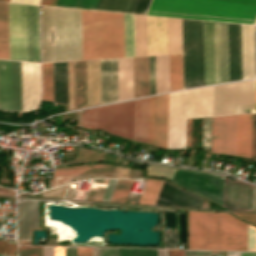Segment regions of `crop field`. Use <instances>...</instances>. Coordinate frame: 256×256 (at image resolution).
Here are the masks:
<instances>
[{
  "label": "crop field",
  "mask_w": 256,
  "mask_h": 256,
  "mask_svg": "<svg viewBox=\"0 0 256 256\" xmlns=\"http://www.w3.org/2000/svg\"><path fill=\"white\" fill-rule=\"evenodd\" d=\"M83 60L125 57L124 14L82 10ZM126 57L182 53L181 19L125 14Z\"/></svg>",
  "instance_id": "crop-field-1"
},
{
  "label": "crop field",
  "mask_w": 256,
  "mask_h": 256,
  "mask_svg": "<svg viewBox=\"0 0 256 256\" xmlns=\"http://www.w3.org/2000/svg\"><path fill=\"white\" fill-rule=\"evenodd\" d=\"M155 96L82 111L81 124L153 144Z\"/></svg>",
  "instance_id": "crop-field-2"
},
{
  "label": "crop field",
  "mask_w": 256,
  "mask_h": 256,
  "mask_svg": "<svg viewBox=\"0 0 256 256\" xmlns=\"http://www.w3.org/2000/svg\"><path fill=\"white\" fill-rule=\"evenodd\" d=\"M42 62L82 60L81 10L41 7Z\"/></svg>",
  "instance_id": "crop-field-3"
},
{
  "label": "crop field",
  "mask_w": 256,
  "mask_h": 256,
  "mask_svg": "<svg viewBox=\"0 0 256 256\" xmlns=\"http://www.w3.org/2000/svg\"><path fill=\"white\" fill-rule=\"evenodd\" d=\"M145 14L254 24L256 0H150Z\"/></svg>",
  "instance_id": "crop-field-4"
},
{
  "label": "crop field",
  "mask_w": 256,
  "mask_h": 256,
  "mask_svg": "<svg viewBox=\"0 0 256 256\" xmlns=\"http://www.w3.org/2000/svg\"><path fill=\"white\" fill-rule=\"evenodd\" d=\"M188 249L247 250V224L229 213L188 212Z\"/></svg>",
  "instance_id": "crop-field-5"
},
{
  "label": "crop field",
  "mask_w": 256,
  "mask_h": 256,
  "mask_svg": "<svg viewBox=\"0 0 256 256\" xmlns=\"http://www.w3.org/2000/svg\"><path fill=\"white\" fill-rule=\"evenodd\" d=\"M10 59L39 62L38 6L9 4Z\"/></svg>",
  "instance_id": "crop-field-6"
},
{
  "label": "crop field",
  "mask_w": 256,
  "mask_h": 256,
  "mask_svg": "<svg viewBox=\"0 0 256 256\" xmlns=\"http://www.w3.org/2000/svg\"><path fill=\"white\" fill-rule=\"evenodd\" d=\"M205 85L228 81L227 23L203 21Z\"/></svg>",
  "instance_id": "crop-field-7"
},
{
  "label": "crop field",
  "mask_w": 256,
  "mask_h": 256,
  "mask_svg": "<svg viewBox=\"0 0 256 256\" xmlns=\"http://www.w3.org/2000/svg\"><path fill=\"white\" fill-rule=\"evenodd\" d=\"M255 80L214 86L213 116L254 112Z\"/></svg>",
  "instance_id": "crop-field-8"
},
{
  "label": "crop field",
  "mask_w": 256,
  "mask_h": 256,
  "mask_svg": "<svg viewBox=\"0 0 256 256\" xmlns=\"http://www.w3.org/2000/svg\"><path fill=\"white\" fill-rule=\"evenodd\" d=\"M171 181L223 206L224 177L222 176L177 169Z\"/></svg>",
  "instance_id": "crop-field-9"
},
{
  "label": "crop field",
  "mask_w": 256,
  "mask_h": 256,
  "mask_svg": "<svg viewBox=\"0 0 256 256\" xmlns=\"http://www.w3.org/2000/svg\"><path fill=\"white\" fill-rule=\"evenodd\" d=\"M0 109L22 111L21 62L0 60Z\"/></svg>",
  "instance_id": "crop-field-10"
},
{
  "label": "crop field",
  "mask_w": 256,
  "mask_h": 256,
  "mask_svg": "<svg viewBox=\"0 0 256 256\" xmlns=\"http://www.w3.org/2000/svg\"><path fill=\"white\" fill-rule=\"evenodd\" d=\"M187 90L170 94L168 148H185Z\"/></svg>",
  "instance_id": "crop-field-11"
},
{
  "label": "crop field",
  "mask_w": 256,
  "mask_h": 256,
  "mask_svg": "<svg viewBox=\"0 0 256 256\" xmlns=\"http://www.w3.org/2000/svg\"><path fill=\"white\" fill-rule=\"evenodd\" d=\"M236 115L213 117L212 152L235 155Z\"/></svg>",
  "instance_id": "crop-field-12"
},
{
  "label": "crop field",
  "mask_w": 256,
  "mask_h": 256,
  "mask_svg": "<svg viewBox=\"0 0 256 256\" xmlns=\"http://www.w3.org/2000/svg\"><path fill=\"white\" fill-rule=\"evenodd\" d=\"M224 208L252 211V186L225 177Z\"/></svg>",
  "instance_id": "crop-field-13"
},
{
  "label": "crop field",
  "mask_w": 256,
  "mask_h": 256,
  "mask_svg": "<svg viewBox=\"0 0 256 256\" xmlns=\"http://www.w3.org/2000/svg\"><path fill=\"white\" fill-rule=\"evenodd\" d=\"M23 111L35 110L40 101L39 64L22 62Z\"/></svg>",
  "instance_id": "crop-field-14"
},
{
  "label": "crop field",
  "mask_w": 256,
  "mask_h": 256,
  "mask_svg": "<svg viewBox=\"0 0 256 256\" xmlns=\"http://www.w3.org/2000/svg\"><path fill=\"white\" fill-rule=\"evenodd\" d=\"M242 79L255 78L254 26L241 24Z\"/></svg>",
  "instance_id": "crop-field-15"
},
{
  "label": "crop field",
  "mask_w": 256,
  "mask_h": 256,
  "mask_svg": "<svg viewBox=\"0 0 256 256\" xmlns=\"http://www.w3.org/2000/svg\"><path fill=\"white\" fill-rule=\"evenodd\" d=\"M212 87L188 90L187 118L211 116Z\"/></svg>",
  "instance_id": "crop-field-16"
},
{
  "label": "crop field",
  "mask_w": 256,
  "mask_h": 256,
  "mask_svg": "<svg viewBox=\"0 0 256 256\" xmlns=\"http://www.w3.org/2000/svg\"><path fill=\"white\" fill-rule=\"evenodd\" d=\"M169 94L156 96L154 144L167 148Z\"/></svg>",
  "instance_id": "crop-field-17"
},
{
  "label": "crop field",
  "mask_w": 256,
  "mask_h": 256,
  "mask_svg": "<svg viewBox=\"0 0 256 256\" xmlns=\"http://www.w3.org/2000/svg\"><path fill=\"white\" fill-rule=\"evenodd\" d=\"M20 240H30V228H38V201L19 203Z\"/></svg>",
  "instance_id": "crop-field-18"
},
{
  "label": "crop field",
  "mask_w": 256,
  "mask_h": 256,
  "mask_svg": "<svg viewBox=\"0 0 256 256\" xmlns=\"http://www.w3.org/2000/svg\"><path fill=\"white\" fill-rule=\"evenodd\" d=\"M252 114L237 115L236 155L250 158Z\"/></svg>",
  "instance_id": "crop-field-19"
},
{
  "label": "crop field",
  "mask_w": 256,
  "mask_h": 256,
  "mask_svg": "<svg viewBox=\"0 0 256 256\" xmlns=\"http://www.w3.org/2000/svg\"><path fill=\"white\" fill-rule=\"evenodd\" d=\"M133 98L132 58L118 59V101Z\"/></svg>",
  "instance_id": "crop-field-20"
},
{
  "label": "crop field",
  "mask_w": 256,
  "mask_h": 256,
  "mask_svg": "<svg viewBox=\"0 0 256 256\" xmlns=\"http://www.w3.org/2000/svg\"><path fill=\"white\" fill-rule=\"evenodd\" d=\"M54 102L68 104L67 62L53 63Z\"/></svg>",
  "instance_id": "crop-field-21"
},
{
  "label": "crop field",
  "mask_w": 256,
  "mask_h": 256,
  "mask_svg": "<svg viewBox=\"0 0 256 256\" xmlns=\"http://www.w3.org/2000/svg\"><path fill=\"white\" fill-rule=\"evenodd\" d=\"M134 98L142 96L141 82L149 81L148 57L133 58Z\"/></svg>",
  "instance_id": "crop-field-22"
},
{
  "label": "crop field",
  "mask_w": 256,
  "mask_h": 256,
  "mask_svg": "<svg viewBox=\"0 0 256 256\" xmlns=\"http://www.w3.org/2000/svg\"><path fill=\"white\" fill-rule=\"evenodd\" d=\"M115 166L110 164H91L54 168L53 176L114 171Z\"/></svg>",
  "instance_id": "crop-field-23"
},
{
  "label": "crop field",
  "mask_w": 256,
  "mask_h": 256,
  "mask_svg": "<svg viewBox=\"0 0 256 256\" xmlns=\"http://www.w3.org/2000/svg\"><path fill=\"white\" fill-rule=\"evenodd\" d=\"M0 58L9 59L8 4L0 3Z\"/></svg>",
  "instance_id": "crop-field-24"
},
{
  "label": "crop field",
  "mask_w": 256,
  "mask_h": 256,
  "mask_svg": "<svg viewBox=\"0 0 256 256\" xmlns=\"http://www.w3.org/2000/svg\"><path fill=\"white\" fill-rule=\"evenodd\" d=\"M168 91V55L156 56V94Z\"/></svg>",
  "instance_id": "crop-field-25"
},
{
  "label": "crop field",
  "mask_w": 256,
  "mask_h": 256,
  "mask_svg": "<svg viewBox=\"0 0 256 256\" xmlns=\"http://www.w3.org/2000/svg\"><path fill=\"white\" fill-rule=\"evenodd\" d=\"M170 91L182 89L181 55H169Z\"/></svg>",
  "instance_id": "crop-field-26"
},
{
  "label": "crop field",
  "mask_w": 256,
  "mask_h": 256,
  "mask_svg": "<svg viewBox=\"0 0 256 256\" xmlns=\"http://www.w3.org/2000/svg\"><path fill=\"white\" fill-rule=\"evenodd\" d=\"M136 0H99L96 10L131 13Z\"/></svg>",
  "instance_id": "crop-field-27"
},
{
  "label": "crop field",
  "mask_w": 256,
  "mask_h": 256,
  "mask_svg": "<svg viewBox=\"0 0 256 256\" xmlns=\"http://www.w3.org/2000/svg\"><path fill=\"white\" fill-rule=\"evenodd\" d=\"M164 181L148 179L138 204L154 205Z\"/></svg>",
  "instance_id": "crop-field-28"
},
{
  "label": "crop field",
  "mask_w": 256,
  "mask_h": 256,
  "mask_svg": "<svg viewBox=\"0 0 256 256\" xmlns=\"http://www.w3.org/2000/svg\"><path fill=\"white\" fill-rule=\"evenodd\" d=\"M43 98L53 101L52 63L42 64Z\"/></svg>",
  "instance_id": "crop-field-29"
},
{
  "label": "crop field",
  "mask_w": 256,
  "mask_h": 256,
  "mask_svg": "<svg viewBox=\"0 0 256 256\" xmlns=\"http://www.w3.org/2000/svg\"><path fill=\"white\" fill-rule=\"evenodd\" d=\"M98 0H57L55 6L95 10Z\"/></svg>",
  "instance_id": "crop-field-30"
},
{
  "label": "crop field",
  "mask_w": 256,
  "mask_h": 256,
  "mask_svg": "<svg viewBox=\"0 0 256 256\" xmlns=\"http://www.w3.org/2000/svg\"><path fill=\"white\" fill-rule=\"evenodd\" d=\"M177 189V187L165 181L155 205L171 206Z\"/></svg>",
  "instance_id": "crop-field-31"
},
{
  "label": "crop field",
  "mask_w": 256,
  "mask_h": 256,
  "mask_svg": "<svg viewBox=\"0 0 256 256\" xmlns=\"http://www.w3.org/2000/svg\"><path fill=\"white\" fill-rule=\"evenodd\" d=\"M134 180H119L110 202L124 203Z\"/></svg>",
  "instance_id": "crop-field-32"
},
{
  "label": "crop field",
  "mask_w": 256,
  "mask_h": 256,
  "mask_svg": "<svg viewBox=\"0 0 256 256\" xmlns=\"http://www.w3.org/2000/svg\"><path fill=\"white\" fill-rule=\"evenodd\" d=\"M187 192L178 189L173 204L198 206L202 198Z\"/></svg>",
  "instance_id": "crop-field-33"
},
{
  "label": "crop field",
  "mask_w": 256,
  "mask_h": 256,
  "mask_svg": "<svg viewBox=\"0 0 256 256\" xmlns=\"http://www.w3.org/2000/svg\"><path fill=\"white\" fill-rule=\"evenodd\" d=\"M119 256H157V250L119 249Z\"/></svg>",
  "instance_id": "crop-field-34"
},
{
  "label": "crop field",
  "mask_w": 256,
  "mask_h": 256,
  "mask_svg": "<svg viewBox=\"0 0 256 256\" xmlns=\"http://www.w3.org/2000/svg\"><path fill=\"white\" fill-rule=\"evenodd\" d=\"M18 256H42V247L18 246Z\"/></svg>",
  "instance_id": "crop-field-35"
},
{
  "label": "crop field",
  "mask_w": 256,
  "mask_h": 256,
  "mask_svg": "<svg viewBox=\"0 0 256 256\" xmlns=\"http://www.w3.org/2000/svg\"><path fill=\"white\" fill-rule=\"evenodd\" d=\"M164 248L178 249L177 233L164 232Z\"/></svg>",
  "instance_id": "crop-field-36"
},
{
  "label": "crop field",
  "mask_w": 256,
  "mask_h": 256,
  "mask_svg": "<svg viewBox=\"0 0 256 256\" xmlns=\"http://www.w3.org/2000/svg\"><path fill=\"white\" fill-rule=\"evenodd\" d=\"M117 181L118 180H111V179L109 180L108 185H107L106 190H105V193H104L103 198H102L101 201H105V202L110 201Z\"/></svg>",
  "instance_id": "crop-field-37"
},
{
  "label": "crop field",
  "mask_w": 256,
  "mask_h": 256,
  "mask_svg": "<svg viewBox=\"0 0 256 256\" xmlns=\"http://www.w3.org/2000/svg\"><path fill=\"white\" fill-rule=\"evenodd\" d=\"M251 158L256 159V114H253Z\"/></svg>",
  "instance_id": "crop-field-38"
},
{
  "label": "crop field",
  "mask_w": 256,
  "mask_h": 256,
  "mask_svg": "<svg viewBox=\"0 0 256 256\" xmlns=\"http://www.w3.org/2000/svg\"><path fill=\"white\" fill-rule=\"evenodd\" d=\"M149 0H137L132 13L144 14Z\"/></svg>",
  "instance_id": "crop-field-39"
},
{
  "label": "crop field",
  "mask_w": 256,
  "mask_h": 256,
  "mask_svg": "<svg viewBox=\"0 0 256 256\" xmlns=\"http://www.w3.org/2000/svg\"><path fill=\"white\" fill-rule=\"evenodd\" d=\"M248 250H256L255 230L250 227H248Z\"/></svg>",
  "instance_id": "crop-field-40"
},
{
  "label": "crop field",
  "mask_w": 256,
  "mask_h": 256,
  "mask_svg": "<svg viewBox=\"0 0 256 256\" xmlns=\"http://www.w3.org/2000/svg\"><path fill=\"white\" fill-rule=\"evenodd\" d=\"M158 256H167V250H158ZM168 256H184V250H168Z\"/></svg>",
  "instance_id": "crop-field-41"
},
{
  "label": "crop field",
  "mask_w": 256,
  "mask_h": 256,
  "mask_svg": "<svg viewBox=\"0 0 256 256\" xmlns=\"http://www.w3.org/2000/svg\"><path fill=\"white\" fill-rule=\"evenodd\" d=\"M233 214H235L240 219H242L244 221H247V222L256 226V215H253V214H239V213H233Z\"/></svg>",
  "instance_id": "crop-field-42"
},
{
  "label": "crop field",
  "mask_w": 256,
  "mask_h": 256,
  "mask_svg": "<svg viewBox=\"0 0 256 256\" xmlns=\"http://www.w3.org/2000/svg\"><path fill=\"white\" fill-rule=\"evenodd\" d=\"M99 256H118V249L99 248Z\"/></svg>",
  "instance_id": "crop-field-43"
},
{
  "label": "crop field",
  "mask_w": 256,
  "mask_h": 256,
  "mask_svg": "<svg viewBox=\"0 0 256 256\" xmlns=\"http://www.w3.org/2000/svg\"><path fill=\"white\" fill-rule=\"evenodd\" d=\"M185 256H210V251L185 250Z\"/></svg>",
  "instance_id": "crop-field-44"
},
{
  "label": "crop field",
  "mask_w": 256,
  "mask_h": 256,
  "mask_svg": "<svg viewBox=\"0 0 256 256\" xmlns=\"http://www.w3.org/2000/svg\"><path fill=\"white\" fill-rule=\"evenodd\" d=\"M77 256H92V248H77Z\"/></svg>",
  "instance_id": "crop-field-45"
},
{
  "label": "crop field",
  "mask_w": 256,
  "mask_h": 256,
  "mask_svg": "<svg viewBox=\"0 0 256 256\" xmlns=\"http://www.w3.org/2000/svg\"><path fill=\"white\" fill-rule=\"evenodd\" d=\"M43 256H54V247H43Z\"/></svg>",
  "instance_id": "crop-field-46"
},
{
  "label": "crop field",
  "mask_w": 256,
  "mask_h": 256,
  "mask_svg": "<svg viewBox=\"0 0 256 256\" xmlns=\"http://www.w3.org/2000/svg\"><path fill=\"white\" fill-rule=\"evenodd\" d=\"M65 256H76V248L65 247Z\"/></svg>",
  "instance_id": "crop-field-47"
},
{
  "label": "crop field",
  "mask_w": 256,
  "mask_h": 256,
  "mask_svg": "<svg viewBox=\"0 0 256 256\" xmlns=\"http://www.w3.org/2000/svg\"><path fill=\"white\" fill-rule=\"evenodd\" d=\"M10 2L38 4L39 0H11Z\"/></svg>",
  "instance_id": "crop-field-48"
},
{
  "label": "crop field",
  "mask_w": 256,
  "mask_h": 256,
  "mask_svg": "<svg viewBox=\"0 0 256 256\" xmlns=\"http://www.w3.org/2000/svg\"><path fill=\"white\" fill-rule=\"evenodd\" d=\"M55 256H64V247H55Z\"/></svg>",
  "instance_id": "crop-field-49"
},
{
  "label": "crop field",
  "mask_w": 256,
  "mask_h": 256,
  "mask_svg": "<svg viewBox=\"0 0 256 256\" xmlns=\"http://www.w3.org/2000/svg\"><path fill=\"white\" fill-rule=\"evenodd\" d=\"M56 0H42L41 5H46V6H54Z\"/></svg>",
  "instance_id": "crop-field-50"
},
{
  "label": "crop field",
  "mask_w": 256,
  "mask_h": 256,
  "mask_svg": "<svg viewBox=\"0 0 256 256\" xmlns=\"http://www.w3.org/2000/svg\"><path fill=\"white\" fill-rule=\"evenodd\" d=\"M241 256H256V252H241Z\"/></svg>",
  "instance_id": "crop-field-51"
},
{
  "label": "crop field",
  "mask_w": 256,
  "mask_h": 256,
  "mask_svg": "<svg viewBox=\"0 0 256 256\" xmlns=\"http://www.w3.org/2000/svg\"><path fill=\"white\" fill-rule=\"evenodd\" d=\"M226 256H240V252H226Z\"/></svg>",
  "instance_id": "crop-field-52"
},
{
  "label": "crop field",
  "mask_w": 256,
  "mask_h": 256,
  "mask_svg": "<svg viewBox=\"0 0 256 256\" xmlns=\"http://www.w3.org/2000/svg\"><path fill=\"white\" fill-rule=\"evenodd\" d=\"M93 256H98V248H93Z\"/></svg>",
  "instance_id": "crop-field-53"
},
{
  "label": "crop field",
  "mask_w": 256,
  "mask_h": 256,
  "mask_svg": "<svg viewBox=\"0 0 256 256\" xmlns=\"http://www.w3.org/2000/svg\"><path fill=\"white\" fill-rule=\"evenodd\" d=\"M94 143H95V132H93V135H92V141H91V144H93V145H94Z\"/></svg>",
  "instance_id": "crop-field-54"
},
{
  "label": "crop field",
  "mask_w": 256,
  "mask_h": 256,
  "mask_svg": "<svg viewBox=\"0 0 256 256\" xmlns=\"http://www.w3.org/2000/svg\"><path fill=\"white\" fill-rule=\"evenodd\" d=\"M209 158H210V155L208 156V160H207V163H206V167H205V168H208V165H209Z\"/></svg>",
  "instance_id": "crop-field-55"
},
{
  "label": "crop field",
  "mask_w": 256,
  "mask_h": 256,
  "mask_svg": "<svg viewBox=\"0 0 256 256\" xmlns=\"http://www.w3.org/2000/svg\"><path fill=\"white\" fill-rule=\"evenodd\" d=\"M0 1L9 2L10 0H0Z\"/></svg>",
  "instance_id": "crop-field-56"
},
{
  "label": "crop field",
  "mask_w": 256,
  "mask_h": 256,
  "mask_svg": "<svg viewBox=\"0 0 256 256\" xmlns=\"http://www.w3.org/2000/svg\"><path fill=\"white\" fill-rule=\"evenodd\" d=\"M255 112H256V104H255Z\"/></svg>",
  "instance_id": "crop-field-57"
},
{
  "label": "crop field",
  "mask_w": 256,
  "mask_h": 256,
  "mask_svg": "<svg viewBox=\"0 0 256 256\" xmlns=\"http://www.w3.org/2000/svg\"><path fill=\"white\" fill-rule=\"evenodd\" d=\"M2 256H9V255H2Z\"/></svg>",
  "instance_id": "crop-field-58"
},
{
  "label": "crop field",
  "mask_w": 256,
  "mask_h": 256,
  "mask_svg": "<svg viewBox=\"0 0 256 256\" xmlns=\"http://www.w3.org/2000/svg\"><path fill=\"white\" fill-rule=\"evenodd\" d=\"M10 256H12V255H10Z\"/></svg>",
  "instance_id": "crop-field-59"
},
{
  "label": "crop field",
  "mask_w": 256,
  "mask_h": 256,
  "mask_svg": "<svg viewBox=\"0 0 256 256\" xmlns=\"http://www.w3.org/2000/svg\"><path fill=\"white\" fill-rule=\"evenodd\" d=\"M211 256H213V255H211Z\"/></svg>",
  "instance_id": "crop-field-60"
},
{
  "label": "crop field",
  "mask_w": 256,
  "mask_h": 256,
  "mask_svg": "<svg viewBox=\"0 0 256 256\" xmlns=\"http://www.w3.org/2000/svg\"><path fill=\"white\" fill-rule=\"evenodd\" d=\"M1 256V255H0Z\"/></svg>",
  "instance_id": "crop-field-61"
}]
</instances>
